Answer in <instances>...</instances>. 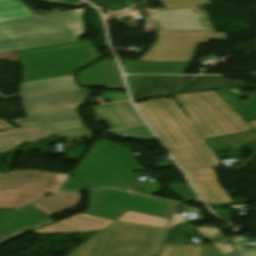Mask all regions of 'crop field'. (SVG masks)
Returning <instances> with one entry per match:
<instances>
[{"label":"crop field","instance_id":"8a807250","mask_svg":"<svg viewBox=\"0 0 256 256\" xmlns=\"http://www.w3.org/2000/svg\"><path fill=\"white\" fill-rule=\"evenodd\" d=\"M154 99L137 104L168 149L206 143L205 139L252 130L214 91Z\"/></svg>","mask_w":256,"mask_h":256},{"label":"crop field","instance_id":"ac0d7876","mask_svg":"<svg viewBox=\"0 0 256 256\" xmlns=\"http://www.w3.org/2000/svg\"><path fill=\"white\" fill-rule=\"evenodd\" d=\"M84 10L0 24V53L71 42L85 34Z\"/></svg>","mask_w":256,"mask_h":256},{"label":"crop field","instance_id":"34b2d1b8","mask_svg":"<svg viewBox=\"0 0 256 256\" xmlns=\"http://www.w3.org/2000/svg\"><path fill=\"white\" fill-rule=\"evenodd\" d=\"M134 154L106 140L91 149L73 176L89 186V189L115 187L134 191L140 186L133 181V172L145 170L133 159Z\"/></svg>","mask_w":256,"mask_h":256},{"label":"crop field","instance_id":"412701ff","mask_svg":"<svg viewBox=\"0 0 256 256\" xmlns=\"http://www.w3.org/2000/svg\"><path fill=\"white\" fill-rule=\"evenodd\" d=\"M17 53L24 68L22 82L72 75L102 57L95 50L91 40L22 50Z\"/></svg>","mask_w":256,"mask_h":256},{"label":"crop field","instance_id":"f4fd0767","mask_svg":"<svg viewBox=\"0 0 256 256\" xmlns=\"http://www.w3.org/2000/svg\"><path fill=\"white\" fill-rule=\"evenodd\" d=\"M164 231L114 223L72 256H155Z\"/></svg>","mask_w":256,"mask_h":256},{"label":"crop field","instance_id":"dd49c442","mask_svg":"<svg viewBox=\"0 0 256 256\" xmlns=\"http://www.w3.org/2000/svg\"><path fill=\"white\" fill-rule=\"evenodd\" d=\"M89 92L75 84L74 75L20 85L27 115L77 108Z\"/></svg>","mask_w":256,"mask_h":256},{"label":"crop field","instance_id":"e52e79f7","mask_svg":"<svg viewBox=\"0 0 256 256\" xmlns=\"http://www.w3.org/2000/svg\"><path fill=\"white\" fill-rule=\"evenodd\" d=\"M176 205L178 203L105 189L90 191V207L85 213L118 220L132 210L169 219Z\"/></svg>","mask_w":256,"mask_h":256},{"label":"crop field","instance_id":"d8731c3e","mask_svg":"<svg viewBox=\"0 0 256 256\" xmlns=\"http://www.w3.org/2000/svg\"><path fill=\"white\" fill-rule=\"evenodd\" d=\"M66 181L57 174L12 171L0 174V208H18L60 190Z\"/></svg>","mask_w":256,"mask_h":256},{"label":"crop field","instance_id":"5a996713","mask_svg":"<svg viewBox=\"0 0 256 256\" xmlns=\"http://www.w3.org/2000/svg\"><path fill=\"white\" fill-rule=\"evenodd\" d=\"M228 40L225 34L158 33L156 43L141 60L189 61L199 44Z\"/></svg>","mask_w":256,"mask_h":256},{"label":"crop field","instance_id":"3316defc","mask_svg":"<svg viewBox=\"0 0 256 256\" xmlns=\"http://www.w3.org/2000/svg\"><path fill=\"white\" fill-rule=\"evenodd\" d=\"M148 14L146 31L213 32L206 24V12L197 11L196 6L155 9Z\"/></svg>","mask_w":256,"mask_h":256},{"label":"crop field","instance_id":"28ad6ade","mask_svg":"<svg viewBox=\"0 0 256 256\" xmlns=\"http://www.w3.org/2000/svg\"><path fill=\"white\" fill-rule=\"evenodd\" d=\"M185 170L210 207L230 206L232 200L218 182L213 168Z\"/></svg>","mask_w":256,"mask_h":256},{"label":"crop field","instance_id":"d1516ede","mask_svg":"<svg viewBox=\"0 0 256 256\" xmlns=\"http://www.w3.org/2000/svg\"><path fill=\"white\" fill-rule=\"evenodd\" d=\"M92 108L98 124L102 120H106L111 126L112 129L107 130V133L143 124V121L133 109L130 102L100 105Z\"/></svg>","mask_w":256,"mask_h":256},{"label":"crop field","instance_id":"22f410ed","mask_svg":"<svg viewBox=\"0 0 256 256\" xmlns=\"http://www.w3.org/2000/svg\"><path fill=\"white\" fill-rule=\"evenodd\" d=\"M82 86H125L116 61L102 60L79 73Z\"/></svg>","mask_w":256,"mask_h":256},{"label":"crop field","instance_id":"cbeb9de0","mask_svg":"<svg viewBox=\"0 0 256 256\" xmlns=\"http://www.w3.org/2000/svg\"><path fill=\"white\" fill-rule=\"evenodd\" d=\"M110 222L112 221L79 214L77 216L66 219L59 223L34 230L30 233H34L38 235H46V234H57V233H67V232L101 230L105 226H107Z\"/></svg>","mask_w":256,"mask_h":256},{"label":"crop field","instance_id":"5142ce71","mask_svg":"<svg viewBox=\"0 0 256 256\" xmlns=\"http://www.w3.org/2000/svg\"><path fill=\"white\" fill-rule=\"evenodd\" d=\"M170 151L182 167L218 166L220 163L208 144L172 149Z\"/></svg>","mask_w":256,"mask_h":256},{"label":"crop field","instance_id":"d9b57169","mask_svg":"<svg viewBox=\"0 0 256 256\" xmlns=\"http://www.w3.org/2000/svg\"><path fill=\"white\" fill-rule=\"evenodd\" d=\"M186 62L124 61L125 74H183Z\"/></svg>","mask_w":256,"mask_h":256},{"label":"crop field","instance_id":"733c2abd","mask_svg":"<svg viewBox=\"0 0 256 256\" xmlns=\"http://www.w3.org/2000/svg\"><path fill=\"white\" fill-rule=\"evenodd\" d=\"M50 134L53 133L42 126L6 130L0 133V152L6 153L8 149L21 145L22 141L31 143Z\"/></svg>","mask_w":256,"mask_h":256},{"label":"crop field","instance_id":"4a817a6b","mask_svg":"<svg viewBox=\"0 0 256 256\" xmlns=\"http://www.w3.org/2000/svg\"><path fill=\"white\" fill-rule=\"evenodd\" d=\"M48 218L30 206L22 211H4L0 220V236Z\"/></svg>","mask_w":256,"mask_h":256},{"label":"crop field","instance_id":"bc2a9ffb","mask_svg":"<svg viewBox=\"0 0 256 256\" xmlns=\"http://www.w3.org/2000/svg\"><path fill=\"white\" fill-rule=\"evenodd\" d=\"M239 87L216 91L230 106H232L246 121L256 120V90L237 95L232 90ZM246 96L249 100L241 102L238 98Z\"/></svg>","mask_w":256,"mask_h":256},{"label":"crop field","instance_id":"214f88e0","mask_svg":"<svg viewBox=\"0 0 256 256\" xmlns=\"http://www.w3.org/2000/svg\"><path fill=\"white\" fill-rule=\"evenodd\" d=\"M80 202V195L78 192L61 193L49 199L33 204L43 212L52 216L62 211L68 210L77 206Z\"/></svg>","mask_w":256,"mask_h":256},{"label":"crop field","instance_id":"92a150f3","mask_svg":"<svg viewBox=\"0 0 256 256\" xmlns=\"http://www.w3.org/2000/svg\"><path fill=\"white\" fill-rule=\"evenodd\" d=\"M28 117L29 118L13 120V122L21 127H26L81 120L76 109L30 115Z\"/></svg>","mask_w":256,"mask_h":256},{"label":"crop field","instance_id":"dafd665d","mask_svg":"<svg viewBox=\"0 0 256 256\" xmlns=\"http://www.w3.org/2000/svg\"><path fill=\"white\" fill-rule=\"evenodd\" d=\"M246 236H233L213 242L226 256H256V246H247ZM232 242V246L226 243Z\"/></svg>","mask_w":256,"mask_h":256},{"label":"crop field","instance_id":"00972430","mask_svg":"<svg viewBox=\"0 0 256 256\" xmlns=\"http://www.w3.org/2000/svg\"><path fill=\"white\" fill-rule=\"evenodd\" d=\"M119 220L133 222V223H139V224H145V225H151V226H157V227H163V228L167 227V224L169 221L167 219L149 216V215L136 213V212H132V211H129L127 214H125Z\"/></svg>","mask_w":256,"mask_h":256},{"label":"crop field","instance_id":"a9b5d70f","mask_svg":"<svg viewBox=\"0 0 256 256\" xmlns=\"http://www.w3.org/2000/svg\"><path fill=\"white\" fill-rule=\"evenodd\" d=\"M202 245H165L161 256H201Z\"/></svg>","mask_w":256,"mask_h":256},{"label":"crop field","instance_id":"4177f3b9","mask_svg":"<svg viewBox=\"0 0 256 256\" xmlns=\"http://www.w3.org/2000/svg\"><path fill=\"white\" fill-rule=\"evenodd\" d=\"M30 10L26 6L0 9V22L36 16Z\"/></svg>","mask_w":256,"mask_h":256},{"label":"crop field","instance_id":"730fd06b","mask_svg":"<svg viewBox=\"0 0 256 256\" xmlns=\"http://www.w3.org/2000/svg\"><path fill=\"white\" fill-rule=\"evenodd\" d=\"M230 86H232L231 82H228V81L222 79L221 77H208L203 82L192 86L184 93L208 90V89L223 88V87H230Z\"/></svg>","mask_w":256,"mask_h":256},{"label":"crop field","instance_id":"eef30255","mask_svg":"<svg viewBox=\"0 0 256 256\" xmlns=\"http://www.w3.org/2000/svg\"><path fill=\"white\" fill-rule=\"evenodd\" d=\"M115 135L119 137L129 136L130 138L137 140H156L146 125L116 132Z\"/></svg>","mask_w":256,"mask_h":256},{"label":"crop field","instance_id":"ae1a2a85","mask_svg":"<svg viewBox=\"0 0 256 256\" xmlns=\"http://www.w3.org/2000/svg\"><path fill=\"white\" fill-rule=\"evenodd\" d=\"M52 223H55V221L50 217V218L45 219L43 221H40L38 223L32 224L30 226L24 227L22 229H19L17 231L12 232V233L1 236L0 237V243H3L5 241H8V240L13 239L15 237H18V236H20L22 234H25V233L33 230V229H36V228H39V227H42V226H45V225H49V224H52Z\"/></svg>","mask_w":256,"mask_h":256},{"label":"crop field","instance_id":"d3111659","mask_svg":"<svg viewBox=\"0 0 256 256\" xmlns=\"http://www.w3.org/2000/svg\"><path fill=\"white\" fill-rule=\"evenodd\" d=\"M58 139H60V138L58 136L54 135V136L36 141V142H34L30 145H27L19 150L26 153V152H30V151L39 149L41 152L46 154V153L53 152V151L51 149H49L48 147H46L45 145H47L53 141H56Z\"/></svg>","mask_w":256,"mask_h":256},{"label":"crop field","instance_id":"750c4746","mask_svg":"<svg viewBox=\"0 0 256 256\" xmlns=\"http://www.w3.org/2000/svg\"><path fill=\"white\" fill-rule=\"evenodd\" d=\"M189 224L190 223L186 222V223L176 225L171 229V231L178 233L180 235H183L187 238H189L190 236H193V237L208 240L196 227L191 228Z\"/></svg>","mask_w":256,"mask_h":256},{"label":"crop field","instance_id":"bd1437ed","mask_svg":"<svg viewBox=\"0 0 256 256\" xmlns=\"http://www.w3.org/2000/svg\"><path fill=\"white\" fill-rule=\"evenodd\" d=\"M61 138H66L69 143L90 138V132L86 129H78L69 132L56 134Z\"/></svg>","mask_w":256,"mask_h":256},{"label":"crop field","instance_id":"1d83c4d3","mask_svg":"<svg viewBox=\"0 0 256 256\" xmlns=\"http://www.w3.org/2000/svg\"><path fill=\"white\" fill-rule=\"evenodd\" d=\"M172 191L176 192L186 201L197 199L195 192L191 188L190 184L187 185H171L170 188Z\"/></svg>","mask_w":256,"mask_h":256},{"label":"crop field","instance_id":"120bbe31","mask_svg":"<svg viewBox=\"0 0 256 256\" xmlns=\"http://www.w3.org/2000/svg\"><path fill=\"white\" fill-rule=\"evenodd\" d=\"M88 1L113 11H119V10L125 9V0H88Z\"/></svg>","mask_w":256,"mask_h":256},{"label":"crop field","instance_id":"d32e631a","mask_svg":"<svg viewBox=\"0 0 256 256\" xmlns=\"http://www.w3.org/2000/svg\"><path fill=\"white\" fill-rule=\"evenodd\" d=\"M165 7L189 6L210 3L209 0H160Z\"/></svg>","mask_w":256,"mask_h":256},{"label":"crop field","instance_id":"5866460e","mask_svg":"<svg viewBox=\"0 0 256 256\" xmlns=\"http://www.w3.org/2000/svg\"><path fill=\"white\" fill-rule=\"evenodd\" d=\"M183 80V76H161L159 88L173 90Z\"/></svg>","mask_w":256,"mask_h":256},{"label":"crop field","instance_id":"028f5c9d","mask_svg":"<svg viewBox=\"0 0 256 256\" xmlns=\"http://www.w3.org/2000/svg\"><path fill=\"white\" fill-rule=\"evenodd\" d=\"M83 126L84 125L82 124V121H78V122L46 125L44 127H46L47 129H49L50 131H52L54 133H57V132H61V131H66V130H70V129H74V128L83 127Z\"/></svg>","mask_w":256,"mask_h":256},{"label":"crop field","instance_id":"e1f06a70","mask_svg":"<svg viewBox=\"0 0 256 256\" xmlns=\"http://www.w3.org/2000/svg\"><path fill=\"white\" fill-rule=\"evenodd\" d=\"M210 241L225 237L221 233V229L212 227V226H204V227H197Z\"/></svg>","mask_w":256,"mask_h":256},{"label":"crop field","instance_id":"0bd39190","mask_svg":"<svg viewBox=\"0 0 256 256\" xmlns=\"http://www.w3.org/2000/svg\"><path fill=\"white\" fill-rule=\"evenodd\" d=\"M86 149V146L83 145L70 147L68 148L67 157L65 159L79 160L83 153L86 151Z\"/></svg>","mask_w":256,"mask_h":256},{"label":"crop field","instance_id":"b80d0937","mask_svg":"<svg viewBox=\"0 0 256 256\" xmlns=\"http://www.w3.org/2000/svg\"><path fill=\"white\" fill-rule=\"evenodd\" d=\"M81 189H87L85 185H83L80 181H78L76 178L72 177L65 185L61 188L60 191H69V190H81Z\"/></svg>","mask_w":256,"mask_h":256},{"label":"crop field","instance_id":"c035e120","mask_svg":"<svg viewBox=\"0 0 256 256\" xmlns=\"http://www.w3.org/2000/svg\"><path fill=\"white\" fill-rule=\"evenodd\" d=\"M126 78L130 88V92H137L138 87L142 81V76H127Z\"/></svg>","mask_w":256,"mask_h":256},{"label":"crop field","instance_id":"c21b1889","mask_svg":"<svg viewBox=\"0 0 256 256\" xmlns=\"http://www.w3.org/2000/svg\"><path fill=\"white\" fill-rule=\"evenodd\" d=\"M203 256H225L215 245L204 246Z\"/></svg>","mask_w":256,"mask_h":256},{"label":"crop field","instance_id":"03da06ac","mask_svg":"<svg viewBox=\"0 0 256 256\" xmlns=\"http://www.w3.org/2000/svg\"><path fill=\"white\" fill-rule=\"evenodd\" d=\"M143 188L145 189L147 195L154 194L159 192L162 188L158 185L157 182L153 183H145L142 184Z\"/></svg>","mask_w":256,"mask_h":256},{"label":"crop field","instance_id":"b54c1fbb","mask_svg":"<svg viewBox=\"0 0 256 256\" xmlns=\"http://www.w3.org/2000/svg\"><path fill=\"white\" fill-rule=\"evenodd\" d=\"M36 1L60 3V4L72 5V6H78V5H81V4H85L81 0H36Z\"/></svg>","mask_w":256,"mask_h":256},{"label":"crop field","instance_id":"5d738f31","mask_svg":"<svg viewBox=\"0 0 256 256\" xmlns=\"http://www.w3.org/2000/svg\"><path fill=\"white\" fill-rule=\"evenodd\" d=\"M165 243L186 244V240L169 232Z\"/></svg>","mask_w":256,"mask_h":256},{"label":"crop field","instance_id":"d23c7cc5","mask_svg":"<svg viewBox=\"0 0 256 256\" xmlns=\"http://www.w3.org/2000/svg\"><path fill=\"white\" fill-rule=\"evenodd\" d=\"M217 215L223 219H225L226 221L230 222L232 221L233 218V213L231 210H214Z\"/></svg>","mask_w":256,"mask_h":256},{"label":"crop field","instance_id":"425ffa30","mask_svg":"<svg viewBox=\"0 0 256 256\" xmlns=\"http://www.w3.org/2000/svg\"><path fill=\"white\" fill-rule=\"evenodd\" d=\"M6 154H0V172H4V173H8L9 170H10V167H11V164L13 162V159H14V156L13 154H10L9 158H8V161H9V165L7 167V169H3L4 166L1 164L4 157H5Z\"/></svg>","mask_w":256,"mask_h":256},{"label":"crop field","instance_id":"25e5ab78","mask_svg":"<svg viewBox=\"0 0 256 256\" xmlns=\"http://www.w3.org/2000/svg\"><path fill=\"white\" fill-rule=\"evenodd\" d=\"M24 4H23V2H18V1H13V0H0V8L21 6Z\"/></svg>","mask_w":256,"mask_h":256},{"label":"crop field","instance_id":"73cf0c24","mask_svg":"<svg viewBox=\"0 0 256 256\" xmlns=\"http://www.w3.org/2000/svg\"><path fill=\"white\" fill-rule=\"evenodd\" d=\"M14 127H12L10 124H8L6 121H4L3 119H0V130H4V129H12Z\"/></svg>","mask_w":256,"mask_h":256},{"label":"crop field","instance_id":"89e229c0","mask_svg":"<svg viewBox=\"0 0 256 256\" xmlns=\"http://www.w3.org/2000/svg\"><path fill=\"white\" fill-rule=\"evenodd\" d=\"M0 97L4 98V99H8V98H16V97H21L20 94H17V95H13V96H8V97H5L3 94L0 93Z\"/></svg>","mask_w":256,"mask_h":256},{"label":"crop field","instance_id":"1f2cbd36","mask_svg":"<svg viewBox=\"0 0 256 256\" xmlns=\"http://www.w3.org/2000/svg\"><path fill=\"white\" fill-rule=\"evenodd\" d=\"M249 125H251L254 129H256V121L247 122Z\"/></svg>","mask_w":256,"mask_h":256},{"label":"crop field","instance_id":"dbb93151","mask_svg":"<svg viewBox=\"0 0 256 256\" xmlns=\"http://www.w3.org/2000/svg\"><path fill=\"white\" fill-rule=\"evenodd\" d=\"M2 212H3V211H0V217H1Z\"/></svg>","mask_w":256,"mask_h":256}]
</instances>
